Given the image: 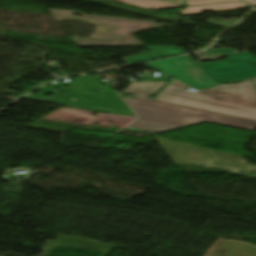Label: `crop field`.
<instances>
[{
    "instance_id": "obj_1",
    "label": "crop field",
    "mask_w": 256,
    "mask_h": 256,
    "mask_svg": "<svg viewBox=\"0 0 256 256\" xmlns=\"http://www.w3.org/2000/svg\"><path fill=\"white\" fill-rule=\"evenodd\" d=\"M137 117L126 130L156 133L202 121L253 131L256 121L141 97L122 99ZM203 123V122H202Z\"/></svg>"
},
{
    "instance_id": "obj_2",
    "label": "crop field",
    "mask_w": 256,
    "mask_h": 256,
    "mask_svg": "<svg viewBox=\"0 0 256 256\" xmlns=\"http://www.w3.org/2000/svg\"><path fill=\"white\" fill-rule=\"evenodd\" d=\"M184 87L173 80L156 99L256 120V92L250 81L199 92Z\"/></svg>"
},
{
    "instance_id": "obj_3",
    "label": "crop field",
    "mask_w": 256,
    "mask_h": 256,
    "mask_svg": "<svg viewBox=\"0 0 256 256\" xmlns=\"http://www.w3.org/2000/svg\"><path fill=\"white\" fill-rule=\"evenodd\" d=\"M147 65L197 89L219 84L188 56L151 62Z\"/></svg>"
},
{
    "instance_id": "obj_4",
    "label": "crop field",
    "mask_w": 256,
    "mask_h": 256,
    "mask_svg": "<svg viewBox=\"0 0 256 256\" xmlns=\"http://www.w3.org/2000/svg\"><path fill=\"white\" fill-rule=\"evenodd\" d=\"M200 65L214 79L222 82H230L256 76V67L249 63L223 61L202 63Z\"/></svg>"
},
{
    "instance_id": "obj_5",
    "label": "crop field",
    "mask_w": 256,
    "mask_h": 256,
    "mask_svg": "<svg viewBox=\"0 0 256 256\" xmlns=\"http://www.w3.org/2000/svg\"><path fill=\"white\" fill-rule=\"evenodd\" d=\"M246 4L243 2L237 3H225V4H215V5H204V6H192L187 7V10L179 11L183 15H192V14H200L201 12L208 10H215L217 12H226V11H235L238 9L245 8Z\"/></svg>"
},
{
    "instance_id": "obj_6",
    "label": "crop field",
    "mask_w": 256,
    "mask_h": 256,
    "mask_svg": "<svg viewBox=\"0 0 256 256\" xmlns=\"http://www.w3.org/2000/svg\"><path fill=\"white\" fill-rule=\"evenodd\" d=\"M165 84L166 81L131 83L125 92L135 96L147 97L154 95Z\"/></svg>"
},
{
    "instance_id": "obj_7",
    "label": "crop field",
    "mask_w": 256,
    "mask_h": 256,
    "mask_svg": "<svg viewBox=\"0 0 256 256\" xmlns=\"http://www.w3.org/2000/svg\"><path fill=\"white\" fill-rule=\"evenodd\" d=\"M147 9H157V8H166V7H175L178 5L158 1V0H115Z\"/></svg>"
},
{
    "instance_id": "obj_8",
    "label": "crop field",
    "mask_w": 256,
    "mask_h": 256,
    "mask_svg": "<svg viewBox=\"0 0 256 256\" xmlns=\"http://www.w3.org/2000/svg\"><path fill=\"white\" fill-rule=\"evenodd\" d=\"M226 60H234V61H242V62H249L253 63L256 66V58L243 52L237 55H233L228 57Z\"/></svg>"
},
{
    "instance_id": "obj_9",
    "label": "crop field",
    "mask_w": 256,
    "mask_h": 256,
    "mask_svg": "<svg viewBox=\"0 0 256 256\" xmlns=\"http://www.w3.org/2000/svg\"><path fill=\"white\" fill-rule=\"evenodd\" d=\"M231 1H240V0H187L188 5L204 4V3H216V2H231Z\"/></svg>"
},
{
    "instance_id": "obj_10",
    "label": "crop field",
    "mask_w": 256,
    "mask_h": 256,
    "mask_svg": "<svg viewBox=\"0 0 256 256\" xmlns=\"http://www.w3.org/2000/svg\"><path fill=\"white\" fill-rule=\"evenodd\" d=\"M250 5H254V4H256V1H254V2H251V3H249Z\"/></svg>"
},
{
    "instance_id": "obj_11",
    "label": "crop field",
    "mask_w": 256,
    "mask_h": 256,
    "mask_svg": "<svg viewBox=\"0 0 256 256\" xmlns=\"http://www.w3.org/2000/svg\"><path fill=\"white\" fill-rule=\"evenodd\" d=\"M253 81H254V83H255V85H256V78H254Z\"/></svg>"
},
{
    "instance_id": "obj_12",
    "label": "crop field",
    "mask_w": 256,
    "mask_h": 256,
    "mask_svg": "<svg viewBox=\"0 0 256 256\" xmlns=\"http://www.w3.org/2000/svg\"><path fill=\"white\" fill-rule=\"evenodd\" d=\"M246 1H252V0H246Z\"/></svg>"
}]
</instances>
